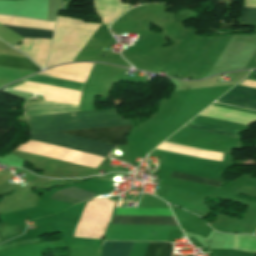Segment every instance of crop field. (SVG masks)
<instances>
[{"label":"crop field","mask_w":256,"mask_h":256,"mask_svg":"<svg viewBox=\"0 0 256 256\" xmlns=\"http://www.w3.org/2000/svg\"><path fill=\"white\" fill-rule=\"evenodd\" d=\"M132 127V125H126L86 130L65 131L61 133L111 143L115 145H127L125 135L131 131ZM61 133L55 132L35 134L30 135V139L102 157H105L115 147L114 145L87 140Z\"/></svg>","instance_id":"obj_1"},{"label":"crop field","mask_w":256,"mask_h":256,"mask_svg":"<svg viewBox=\"0 0 256 256\" xmlns=\"http://www.w3.org/2000/svg\"><path fill=\"white\" fill-rule=\"evenodd\" d=\"M25 119L29 126L30 134L131 124L130 119H124V115L119 116L115 108Z\"/></svg>","instance_id":"obj_2"},{"label":"crop field","mask_w":256,"mask_h":256,"mask_svg":"<svg viewBox=\"0 0 256 256\" xmlns=\"http://www.w3.org/2000/svg\"><path fill=\"white\" fill-rule=\"evenodd\" d=\"M133 242H104L102 256H128ZM173 248L168 243H150L144 256H170Z\"/></svg>","instance_id":"obj_3"},{"label":"crop field","mask_w":256,"mask_h":256,"mask_svg":"<svg viewBox=\"0 0 256 256\" xmlns=\"http://www.w3.org/2000/svg\"><path fill=\"white\" fill-rule=\"evenodd\" d=\"M113 224L177 225L174 217L116 215Z\"/></svg>","instance_id":"obj_4"},{"label":"crop field","mask_w":256,"mask_h":256,"mask_svg":"<svg viewBox=\"0 0 256 256\" xmlns=\"http://www.w3.org/2000/svg\"><path fill=\"white\" fill-rule=\"evenodd\" d=\"M232 91L242 93V94L251 95V96H256V91L241 89V88H237V87H235ZM217 102L256 110V99L255 98L236 95V94H232V93L227 94L226 96H224Z\"/></svg>","instance_id":"obj_5"},{"label":"crop field","mask_w":256,"mask_h":256,"mask_svg":"<svg viewBox=\"0 0 256 256\" xmlns=\"http://www.w3.org/2000/svg\"><path fill=\"white\" fill-rule=\"evenodd\" d=\"M0 68L38 72L40 69L29 59L0 55Z\"/></svg>","instance_id":"obj_6"},{"label":"crop field","mask_w":256,"mask_h":256,"mask_svg":"<svg viewBox=\"0 0 256 256\" xmlns=\"http://www.w3.org/2000/svg\"><path fill=\"white\" fill-rule=\"evenodd\" d=\"M93 196H94V193L84 191L75 187H71V188L61 190L52 198L74 204V203L88 200Z\"/></svg>","instance_id":"obj_7"},{"label":"crop field","mask_w":256,"mask_h":256,"mask_svg":"<svg viewBox=\"0 0 256 256\" xmlns=\"http://www.w3.org/2000/svg\"><path fill=\"white\" fill-rule=\"evenodd\" d=\"M184 127L190 128V129L206 131V132L222 134V135L233 136V137H235V133L237 132L236 129H230V128L214 126V125H209V124H204V123H198V122H193V121L188 122Z\"/></svg>","instance_id":"obj_8"},{"label":"crop field","mask_w":256,"mask_h":256,"mask_svg":"<svg viewBox=\"0 0 256 256\" xmlns=\"http://www.w3.org/2000/svg\"><path fill=\"white\" fill-rule=\"evenodd\" d=\"M23 38H51L53 30L6 26Z\"/></svg>","instance_id":"obj_9"},{"label":"crop field","mask_w":256,"mask_h":256,"mask_svg":"<svg viewBox=\"0 0 256 256\" xmlns=\"http://www.w3.org/2000/svg\"><path fill=\"white\" fill-rule=\"evenodd\" d=\"M24 81H30V82L52 85V86H57V87H62V88L79 90V91H81L84 86L81 84H75V83L64 82V81L48 79V78H43V77H37V76L26 78V79H24Z\"/></svg>","instance_id":"obj_10"},{"label":"crop field","mask_w":256,"mask_h":256,"mask_svg":"<svg viewBox=\"0 0 256 256\" xmlns=\"http://www.w3.org/2000/svg\"><path fill=\"white\" fill-rule=\"evenodd\" d=\"M171 177L186 180V181L206 184V185H210V186H215V187H218L221 184V182H218V181L201 178V177H196V176H191V175H186V174H181V173H176V172H173Z\"/></svg>","instance_id":"obj_11"},{"label":"crop field","mask_w":256,"mask_h":256,"mask_svg":"<svg viewBox=\"0 0 256 256\" xmlns=\"http://www.w3.org/2000/svg\"><path fill=\"white\" fill-rule=\"evenodd\" d=\"M240 22L256 23V8H244Z\"/></svg>","instance_id":"obj_12"},{"label":"crop field","mask_w":256,"mask_h":256,"mask_svg":"<svg viewBox=\"0 0 256 256\" xmlns=\"http://www.w3.org/2000/svg\"><path fill=\"white\" fill-rule=\"evenodd\" d=\"M115 216V215H114ZM114 219V218H113ZM113 223V222H112Z\"/></svg>","instance_id":"obj_13"}]
</instances>
